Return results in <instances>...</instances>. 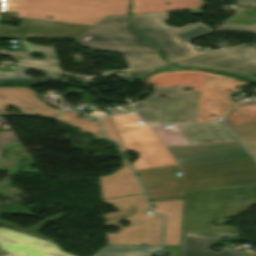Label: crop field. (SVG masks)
Returning a JSON list of instances; mask_svg holds the SVG:
<instances>
[{
	"mask_svg": "<svg viewBox=\"0 0 256 256\" xmlns=\"http://www.w3.org/2000/svg\"><path fill=\"white\" fill-rule=\"evenodd\" d=\"M100 121L102 123V126H103L106 134H107V137L117 141L122 152L123 153L126 152L125 146H124V144L114 126L112 118L111 117L100 118Z\"/></svg>",
	"mask_w": 256,
	"mask_h": 256,
	"instance_id": "crop-field-23",
	"label": "crop field"
},
{
	"mask_svg": "<svg viewBox=\"0 0 256 256\" xmlns=\"http://www.w3.org/2000/svg\"><path fill=\"white\" fill-rule=\"evenodd\" d=\"M129 0H3L17 17L93 25L107 15L128 14ZM51 15L53 19H45Z\"/></svg>",
	"mask_w": 256,
	"mask_h": 256,
	"instance_id": "crop-field-4",
	"label": "crop field"
},
{
	"mask_svg": "<svg viewBox=\"0 0 256 256\" xmlns=\"http://www.w3.org/2000/svg\"><path fill=\"white\" fill-rule=\"evenodd\" d=\"M204 74L198 71L157 73L147 79L154 86L152 96L132 105L140 118L150 125L195 121ZM182 86H191L193 91L182 92ZM159 95L171 98H159Z\"/></svg>",
	"mask_w": 256,
	"mask_h": 256,
	"instance_id": "crop-field-2",
	"label": "crop field"
},
{
	"mask_svg": "<svg viewBox=\"0 0 256 256\" xmlns=\"http://www.w3.org/2000/svg\"><path fill=\"white\" fill-rule=\"evenodd\" d=\"M168 12L131 15L130 25L157 46L171 61L190 56L184 42L203 36L212 29L202 23H193L176 29L165 25Z\"/></svg>",
	"mask_w": 256,
	"mask_h": 256,
	"instance_id": "crop-field-9",
	"label": "crop field"
},
{
	"mask_svg": "<svg viewBox=\"0 0 256 256\" xmlns=\"http://www.w3.org/2000/svg\"><path fill=\"white\" fill-rule=\"evenodd\" d=\"M27 69L39 71V72L46 71V70L17 65L14 72L0 71V82L36 81L44 78L59 79L61 74L58 72L46 71L44 74V78H30L29 76L24 75V72Z\"/></svg>",
	"mask_w": 256,
	"mask_h": 256,
	"instance_id": "crop-field-22",
	"label": "crop field"
},
{
	"mask_svg": "<svg viewBox=\"0 0 256 256\" xmlns=\"http://www.w3.org/2000/svg\"><path fill=\"white\" fill-rule=\"evenodd\" d=\"M215 244L229 245V243H222L214 240L183 237L182 256H256L255 253H240L224 249L214 252L210 250V248Z\"/></svg>",
	"mask_w": 256,
	"mask_h": 256,
	"instance_id": "crop-field-18",
	"label": "crop field"
},
{
	"mask_svg": "<svg viewBox=\"0 0 256 256\" xmlns=\"http://www.w3.org/2000/svg\"><path fill=\"white\" fill-rule=\"evenodd\" d=\"M0 248L5 256H72L54 243L0 227Z\"/></svg>",
	"mask_w": 256,
	"mask_h": 256,
	"instance_id": "crop-field-13",
	"label": "crop field"
},
{
	"mask_svg": "<svg viewBox=\"0 0 256 256\" xmlns=\"http://www.w3.org/2000/svg\"><path fill=\"white\" fill-rule=\"evenodd\" d=\"M201 3L202 0H133L131 14L200 9Z\"/></svg>",
	"mask_w": 256,
	"mask_h": 256,
	"instance_id": "crop-field-17",
	"label": "crop field"
},
{
	"mask_svg": "<svg viewBox=\"0 0 256 256\" xmlns=\"http://www.w3.org/2000/svg\"><path fill=\"white\" fill-rule=\"evenodd\" d=\"M229 128L256 159V120Z\"/></svg>",
	"mask_w": 256,
	"mask_h": 256,
	"instance_id": "crop-field-21",
	"label": "crop field"
},
{
	"mask_svg": "<svg viewBox=\"0 0 256 256\" xmlns=\"http://www.w3.org/2000/svg\"><path fill=\"white\" fill-rule=\"evenodd\" d=\"M89 27L69 23L49 22L40 20L25 19L20 28L0 24V39H23L19 42L24 50L7 51L0 49V54L9 55L12 59L21 63L61 70L58 66V59L53 47L37 46L26 42L25 38H67L75 39ZM86 32V31H85ZM31 53H40L44 59H36L30 56ZM53 59H50V57ZM54 64L53 66H50Z\"/></svg>",
	"mask_w": 256,
	"mask_h": 256,
	"instance_id": "crop-field-7",
	"label": "crop field"
},
{
	"mask_svg": "<svg viewBox=\"0 0 256 256\" xmlns=\"http://www.w3.org/2000/svg\"><path fill=\"white\" fill-rule=\"evenodd\" d=\"M112 118L126 148L140 154L139 159L133 163L135 170L175 165L150 127L139 124L135 115Z\"/></svg>",
	"mask_w": 256,
	"mask_h": 256,
	"instance_id": "crop-field-10",
	"label": "crop field"
},
{
	"mask_svg": "<svg viewBox=\"0 0 256 256\" xmlns=\"http://www.w3.org/2000/svg\"><path fill=\"white\" fill-rule=\"evenodd\" d=\"M154 212L166 217L164 245H179L182 200L149 202Z\"/></svg>",
	"mask_w": 256,
	"mask_h": 256,
	"instance_id": "crop-field-16",
	"label": "crop field"
},
{
	"mask_svg": "<svg viewBox=\"0 0 256 256\" xmlns=\"http://www.w3.org/2000/svg\"><path fill=\"white\" fill-rule=\"evenodd\" d=\"M80 113L78 112H64L57 116L55 119L71 124L73 127H77L83 132L93 133L95 138H105L101 128L95 118V121H89L86 119L77 118Z\"/></svg>",
	"mask_w": 256,
	"mask_h": 256,
	"instance_id": "crop-field-20",
	"label": "crop field"
},
{
	"mask_svg": "<svg viewBox=\"0 0 256 256\" xmlns=\"http://www.w3.org/2000/svg\"><path fill=\"white\" fill-rule=\"evenodd\" d=\"M184 192L256 185L252 159L179 166Z\"/></svg>",
	"mask_w": 256,
	"mask_h": 256,
	"instance_id": "crop-field-8",
	"label": "crop field"
},
{
	"mask_svg": "<svg viewBox=\"0 0 256 256\" xmlns=\"http://www.w3.org/2000/svg\"><path fill=\"white\" fill-rule=\"evenodd\" d=\"M165 67H175L173 65L167 64V65H163L160 67H156V68H165ZM155 69V68H153ZM152 69L149 70H139V71H125V75H126V81L130 82L132 85H134V83L137 81V79L144 73L150 71Z\"/></svg>",
	"mask_w": 256,
	"mask_h": 256,
	"instance_id": "crop-field-26",
	"label": "crop field"
},
{
	"mask_svg": "<svg viewBox=\"0 0 256 256\" xmlns=\"http://www.w3.org/2000/svg\"><path fill=\"white\" fill-rule=\"evenodd\" d=\"M122 168L109 176L99 177L102 198H113L142 193L127 162L120 157Z\"/></svg>",
	"mask_w": 256,
	"mask_h": 256,
	"instance_id": "crop-field-15",
	"label": "crop field"
},
{
	"mask_svg": "<svg viewBox=\"0 0 256 256\" xmlns=\"http://www.w3.org/2000/svg\"><path fill=\"white\" fill-rule=\"evenodd\" d=\"M161 246L106 245L93 256H151Z\"/></svg>",
	"mask_w": 256,
	"mask_h": 256,
	"instance_id": "crop-field-19",
	"label": "crop field"
},
{
	"mask_svg": "<svg viewBox=\"0 0 256 256\" xmlns=\"http://www.w3.org/2000/svg\"><path fill=\"white\" fill-rule=\"evenodd\" d=\"M236 2L239 5H245V6H255L256 5V0H236ZM204 3H205V0H203L202 9L204 7ZM189 12L193 15L203 14V12L201 10H193V11H189Z\"/></svg>",
	"mask_w": 256,
	"mask_h": 256,
	"instance_id": "crop-field-27",
	"label": "crop field"
},
{
	"mask_svg": "<svg viewBox=\"0 0 256 256\" xmlns=\"http://www.w3.org/2000/svg\"><path fill=\"white\" fill-rule=\"evenodd\" d=\"M178 166L136 171L149 201L183 199Z\"/></svg>",
	"mask_w": 256,
	"mask_h": 256,
	"instance_id": "crop-field-12",
	"label": "crop field"
},
{
	"mask_svg": "<svg viewBox=\"0 0 256 256\" xmlns=\"http://www.w3.org/2000/svg\"><path fill=\"white\" fill-rule=\"evenodd\" d=\"M103 202L118 209V212L104 214L106 225L120 228L117 233H106L108 244L161 245L162 217L145 214L150 208L143 194ZM120 220H130V226H120Z\"/></svg>",
	"mask_w": 256,
	"mask_h": 256,
	"instance_id": "crop-field-6",
	"label": "crop field"
},
{
	"mask_svg": "<svg viewBox=\"0 0 256 256\" xmlns=\"http://www.w3.org/2000/svg\"><path fill=\"white\" fill-rule=\"evenodd\" d=\"M127 17L107 16L76 38L75 43L99 51H122L130 68L163 63L157 50L127 26Z\"/></svg>",
	"mask_w": 256,
	"mask_h": 256,
	"instance_id": "crop-field-5",
	"label": "crop field"
},
{
	"mask_svg": "<svg viewBox=\"0 0 256 256\" xmlns=\"http://www.w3.org/2000/svg\"><path fill=\"white\" fill-rule=\"evenodd\" d=\"M182 236L219 239L237 236V228L212 226L211 218L236 216L256 205V186L184 193Z\"/></svg>",
	"mask_w": 256,
	"mask_h": 256,
	"instance_id": "crop-field-3",
	"label": "crop field"
},
{
	"mask_svg": "<svg viewBox=\"0 0 256 256\" xmlns=\"http://www.w3.org/2000/svg\"><path fill=\"white\" fill-rule=\"evenodd\" d=\"M34 95L35 93L30 90L29 86L0 87L1 115L9 114L2 111L7 105L19 108L22 113L44 117H51L59 112V110L46 106L42 101L36 99Z\"/></svg>",
	"mask_w": 256,
	"mask_h": 256,
	"instance_id": "crop-field-14",
	"label": "crop field"
},
{
	"mask_svg": "<svg viewBox=\"0 0 256 256\" xmlns=\"http://www.w3.org/2000/svg\"><path fill=\"white\" fill-rule=\"evenodd\" d=\"M153 130L178 165L251 158L222 122L175 125Z\"/></svg>",
	"mask_w": 256,
	"mask_h": 256,
	"instance_id": "crop-field-1",
	"label": "crop field"
},
{
	"mask_svg": "<svg viewBox=\"0 0 256 256\" xmlns=\"http://www.w3.org/2000/svg\"><path fill=\"white\" fill-rule=\"evenodd\" d=\"M175 63L180 66L213 68L243 74L256 70V50L251 47H238L196 56Z\"/></svg>",
	"mask_w": 256,
	"mask_h": 256,
	"instance_id": "crop-field-11",
	"label": "crop field"
},
{
	"mask_svg": "<svg viewBox=\"0 0 256 256\" xmlns=\"http://www.w3.org/2000/svg\"><path fill=\"white\" fill-rule=\"evenodd\" d=\"M213 31L222 32H244V33H255L256 34V24L250 26L244 25H232V24H222L217 29Z\"/></svg>",
	"mask_w": 256,
	"mask_h": 256,
	"instance_id": "crop-field-25",
	"label": "crop field"
},
{
	"mask_svg": "<svg viewBox=\"0 0 256 256\" xmlns=\"http://www.w3.org/2000/svg\"><path fill=\"white\" fill-rule=\"evenodd\" d=\"M62 217H63V213H61V214H59V215H57V216H55V217H52V218H50V219H48V220H46V221H44V222H41V223L35 225L34 227L28 229V230L20 229V228H18L17 226H15V225H13V224H10V223H7V222L2 221V220H0V225L10 226V227H13V228L17 229V230L20 231V232H23V233H26V234H30V235H33V236H36V237H39V238L46 239V240H49V241L54 242V241H56L55 239H51V238H48V237L40 236V235H37V234H35V233H36L37 231H39L40 228H41L42 226H44L46 223H48V222H50V221H52V220H54V219H62Z\"/></svg>",
	"mask_w": 256,
	"mask_h": 256,
	"instance_id": "crop-field-24",
	"label": "crop field"
},
{
	"mask_svg": "<svg viewBox=\"0 0 256 256\" xmlns=\"http://www.w3.org/2000/svg\"><path fill=\"white\" fill-rule=\"evenodd\" d=\"M243 75L256 80V71L250 72V73H247V74H243Z\"/></svg>",
	"mask_w": 256,
	"mask_h": 256,
	"instance_id": "crop-field-28",
	"label": "crop field"
}]
</instances>
